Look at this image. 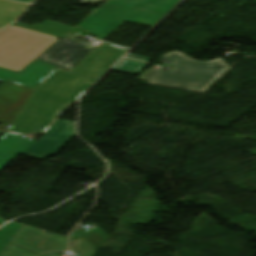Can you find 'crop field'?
I'll use <instances>...</instances> for the list:
<instances>
[{"label":"crop field","instance_id":"8a807250","mask_svg":"<svg viewBox=\"0 0 256 256\" xmlns=\"http://www.w3.org/2000/svg\"><path fill=\"white\" fill-rule=\"evenodd\" d=\"M128 50L102 43L71 72L58 68L33 91L8 129L43 132Z\"/></svg>","mask_w":256,"mask_h":256},{"label":"crop field","instance_id":"ac0d7876","mask_svg":"<svg viewBox=\"0 0 256 256\" xmlns=\"http://www.w3.org/2000/svg\"><path fill=\"white\" fill-rule=\"evenodd\" d=\"M163 58L174 61L172 71L149 69L140 80L151 85L202 92L206 90L230 66L221 58L209 62L189 59L179 53H167Z\"/></svg>","mask_w":256,"mask_h":256},{"label":"crop field","instance_id":"34b2d1b8","mask_svg":"<svg viewBox=\"0 0 256 256\" xmlns=\"http://www.w3.org/2000/svg\"><path fill=\"white\" fill-rule=\"evenodd\" d=\"M101 42L91 44L70 34L53 44L37 60L71 71Z\"/></svg>","mask_w":256,"mask_h":256},{"label":"crop field","instance_id":"412701ff","mask_svg":"<svg viewBox=\"0 0 256 256\" xmlns=\"http://www.w3.org/2000/svg\"><path fill=\"white\" fill-rule=\"evenodd\" d=\"M75 136V122L57 120L48 131L23 154L39 159L57 153Z\"/></svg>","mask_w":256,"mask_h":256},{"label":"crop field","instance_id":"f4fd0767","mask_svg":"<svg viewBox=\"0 0 256 256\" xmlns=\"http://www.w3.org/2000/svg\"><path fill=\"white\" fill-rule=\"evenodd\" d=\"M57 67L35 60L20 73L0 68V80L12 82L34 90L45 75H49Z\"/></svg>","mask_w":256,"mask_h":256},{"label":"crop field","instance_id":"dd49c442","mask_svg":"<svg viewBox=\"0 0 256 256\" xmlns=\"http://www.w3.org/2000/svg\"><path fill=\"white\" fill-rule=\"evenodd\" d=\"M44 232L45 231L40 229L24 225L2 256H40L49 244L44 242H31L22 237L30 233L41 238L46 234Z\"/></svg>","mask_w":256,"mask_h":256},{"label":"crop field","instance_id":"e52e79f7","mask_svg":"<svg viewBox=\"0 0 256 256\" xmlns=\"http://www.w3.org/2000/svg\"><path fill=\"white\" fill-rule=\"evenodd\" d=\"M23 135L5 133L0 139V170L18 154H22L33 142L22 138Z\"/></svg>","mask_w":256,"mask_h":256},{"label":"crop field","instance_id":"d8731c3e","mask_svg":"<svg viewBox=\"0 0 256 256\" xmlns=\"http://www.w3.org/2000/svg\"><path fill=\"white\" fill-rule=\"evenodd\" d=\"M111 25L112 24L90 14L76 26L98 36V39L104 40Z\"/></svg>","mask_w":256,"mask_h":256},{"label":"crop field","instance_id":"5a996713","mask_svg":"<svg viewBox=\"0 0 256 256\" xmlns=\"http://www.w3.org/2000/svg\"><path fill=\"white\" fill-rule=\"evenodd\" d=\"M22 224L11 222L0 229V256L22 228Z\"/></svg>","mask_w":256,"mask_h":256},{"label":"crop field","instance_id":"3316defc","mask_svg":"<svg viewBox=\"0 0 256 256\" xmlns=\"http://www.w3.org/2000/svg\"><path fill=\"white\" fill-rule=\"evenodd\" d=\"M147 66L148 64L124 59L119 64H117L112 70L126 74L138 75Z\"/></svg>","mask_w":256,"mask_h":256},{"label":"crop field","instance_id":"28ad6ade","mask_svg":"<svg viewBox=\"0 0 256 256\" xmlns=\"http://www.w3.org/2000/svg\"><path fill=\"white\" fill-rule=\"evenodd\" d=\"M28 6V4L0 0V10L16 17L20 16Z\"/></svg>","mask_w":256,"mask_h":256},{"label":"crop field","instance_id":"d1516ede","mask_svg":"<svg viewBox=\"0 0 256 256\" xmlns=\"http://www.w3.org/2000/svg\"><path fill=\"white\" fill-rule=\"evenodd\" d=\"M71 243L74 245L70 246V250L76 251L80 256H93L95 254L93 247L84 238Z\"/></svg>","mask_w":256,"mask_h":256},{"label":"crop field","instance_id":"22f410ed","mask_svg":"<svg viewBox=\"0 0 256 256\" xmlns=\"http://www.w3.org/2000/svg\"><path fill=\"white\" fill-rule=\"evenodd\" d=\"M67 246H68L67 238L56 235V237L53 239L51 244L45 250L58 252V251L67 250Z\"/></svg>","mask_w":256,"mask_h":256},{"label":"crop field","instance_id":"cbeb9de0","mask_svg":"<svg viewBox=\"0 0 256 256\" xmlns=\"http://www.w3.org/2000/svg\"><path fill=\"white\" fill-rule=\"evenodd\" d=\"M15 19L16 17L0 11V29Z\"/></svg>","mask_w":256,"mask_h":256},{"label":"crop field","instance_id":"5142ce71","mask_svg":"<svg viewBox=\"0 0 256 256\" xmlns=\"http://www.w3.org/2000/svg\"><path fill=\"white\" fill-rule=\"evenodd\" d=\"M126 57L127 58H131V59H137V60H141V61H146V62L151 61V59H149V58H144V57H140V56H136V55H131V54H128Z\"/></svg>","mask_w":256,"mask_h":256},{"label":"crop field","instance_id":"d9b57169","mask_svg":"<svg viewBox=\"0 0 256 256\" xmlns=\"http://www.w3.org/2000/svg\"><path fill=\"white\" fill-rule=\"evenodd\" d=\"M105 0H82L80 2L82 3H88V4H98V3H102Z\"/></svg>","mask_w":256,"mask_h":256},{"label":"crop field","instance_id":"733c2abd","mask_svg":"<svg viewBox=\"0 0 256 256\" xmlns=\"http://www.w3.org/2000/svg\"><path fill=\"white\" fill-rule=\"evenodd\" d=\"M54 252H43L42 256H56Z\"/></svg>","mask_w":256,"mask_h":256},{"label":"crop field","instance_id":"4a817a6b","mask_svg":"<svg viewBox=\"0 0 256 256\" xmlns=\"http://www.w3.org/2000/svg\"><path fill=\"white\" fill-rule=\"evenodd\" d=\"M14 1H20V2L32 3L34 0H14Z\"/></svg>","mask_w":256,"mask_h":256},{"label":"crop field","instance_id":"bc2a9ffb","mask_svg":"<svg viewBox=\"0 0 256 256\" xmlns=\"http://www.w3.org/2000/svg\"><path fill=\"white\" fill-rule=\"evenodd\" d=\"M3 222H5V221L0 218V224H2Z\"/></svg>","mask_w":256,"mask_h":256}]
</instances>
